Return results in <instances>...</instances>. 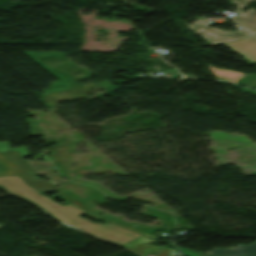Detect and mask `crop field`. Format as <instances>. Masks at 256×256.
<instances>
[{"instance_id":"obj_1","label":"crop field","mask_w":256,"mask_h":256,"mask_svg":"<svg viewBox=\"0 0 256 256\" xmlns=\"http://www.w3.org/2000/svg\"><path fill=\"white\" fill-rule=\"evenodd\" d=\"M0 185H2L8 192L23 197L45 209L49 215L60 220L66 225L77 228L101 240L109 241L122 246L141 236L134 232L110 224H92L80 218V216L87 215L92 218L96 217L70 205L62 207L52 202V200L40 195V192L28 187L18 176L0 177ZM102 236H105V238H102Z\"/></svg>"},{"instance_id":"obj_2","label":"crop field","mask_w":256,"mask_h":256,"mask_svg":"<svg viewBox=\"0 0 256 256\" xmlns=\"http://www.w3.org/2000/svg\"><path fill=\"white\" fill-rule=\"evenodd\" d=\"M206 25H208V23H206L205 21H200L187 27L195 34H200L204 36L207 41L213 45L224 44L229 41L251 36L243 29L226 33L222 30L210 29L206 27Z\"/></svg>"},{"instance_id":"obj_3","label":"crop field","mask_w":256,"mask_h":256,"mask_svg":"<svg viewBox=\"0 0 256 256\" xmlns=\"http://www.w3.org/2000/svg\"><path fill=\"white\" fill-rule=\"evenodd\" d=\"M3 155L19 165V175L35 189L41 192H47L57 188L54 185L38 178L35 173H32L30 166L18 151L7 150L3 152Z\"/></svg>"},{"instance_id":"obj_4","label":"crop field","mask_w":256,"mask_h":256,"mask_svg":"<svg viewBox=\"0 0 256 256\" xmlns=\"http://www.w3.org/2000/svg\"><path fill=\"white\" fill-rule=\"evenodd\" d=\"M225 45L256 64V39L253 36L229 42Z\"/></svg>"},{"instance_id":"obj_5","label":"crop field","mask_w":256,"mask_h":256,"mask_svg":"<svg viewBox=\"0 0 256 256\" xmlns=\"http://www.w3.org/2000/svg\"><path fill=\"white\" fill-rule=\"evenodd\" d=\"M208 254L215 256H256V241L250 245H239L230 249L216 248Z\"/></svg>"},{"instance_id":"obj_6","label":"crop field","mask_w":256,"mask_h":256,"mask_svg":"<svg viewBox=\"0 0 256 256\" xmlns=\"http://www.w3.org/2000/svg\"><path fill=\"white\" fill-rule=\"evenodd\" d=\"M26 161L30 164L33 171L37 174V176L46 174L48 176V178L51 179L48 182H50L54 185L68 182L53 172L54 169H53V165L51 163L42 162V161H30V160H26Z\"/></svg>"},{"instance_id":"obj_7","label":"crop field","mask_w":256,"mask_h":256,"mask_svg":"<svg viewBox=\"0 0 256 256\" xmlns=\"http://www.w3.org/2000/svg\"><path fill=\"white\" fill-rule=\"evenodd\" d=\"M230 19L256 35V10L250 8L248 12Z\"/></svg>"},{"instance_id":"obj_8","label":"crop field","mask_w":256,"mask_h":256,"mask_svg":"<svg viewBox=\"0 0 256 256\" xmlns=\"http://www.w3.org/2000/svg\"><path fill=\"white\" fill-rule=\"evenodd\" d=\"M216 78L223 79L235 83L244 73L228 71V70H218L212 68V66L207 65Z\"/></svg>"},{"instance_id":"obj_9","label":"crop field","mask_w":256,"mask_h":256,"mask_svg":"<svg viewBox=\"0 0 256 256\" xmlns=\"http://www.w3.org/2000/svg\"><path fill=\"white\" fill-rule=\"evenodd\" d=\"M233 4H235L238 8L235 10L237 14L243 13L241 10L246 7L253 0H230Z\"/></svg>"},{"instance_id":"obj_10","label":"crop field","mask_w":256,"mask_h":256,"mask_svg":"<svg viewBox=\"0 0 256 256\" xmlns=\"http://www.w3.org/2000/svg\"><path fill=\"white\" fill-rule=\"evenodd\" d=\"M27 123L31 127V135H45L37 126L34 119L27 118Z\"/></svg>"},{"instance_id":"obj_11","label":"crop field","mask_w":256,"mask_h":256,"mask_svg":"<svg viewBox=\"0 0 256 256\" xmlns=\"http://www.w3.org/2000/svg\"><path fill=\"white\" fill-rule=\"evenodd\" d=\"M6 149H10L8 141L0 142V151L2 152ZM13 150H18L21 153L22 156H28V152H27L26 148H19V149H13Z\"/></svg>"},{"instance_id":"obj_12","label":"crop field","mask_w":256,"mask_h":256,"mask_svg":"<svg viewBox=\"0 0 256 256\" xmlns=\"http://www.w3.org/2000/svg\"><path fill=\"white\" fill-rule=\"evenodd\" d=\"M169 250L160 248L158 254L156 256H167L169 254Z\"/></svg>"},{"instance_id":"obj_13","label":"crop field","mask_w":256,"mask_h":256,"mask_svg":"<svg viewBox=\"0 0 256 256\" xmlns=\"http://www.w3.org/2000/svg\"><path fill=\"white\" fill-rule=\"evenodd\" d=\"M201 256H210V255L203 254V255H201Z\"/></svg>"},{"instance_id":"obj_14","label":"crop field","mask_w":256,"mask_h":256,"mask_svg":"<svg viewBox=\"0 0 256 256\" xmlns=\"http://www.w3.org/2000/svg\"><path fill=\"white\" fill-rule=\"evenodd\" d=\"M0 226H3L2 224H0Z\"/></svg>"}]
</instances>
